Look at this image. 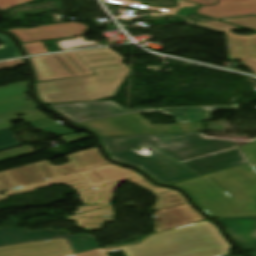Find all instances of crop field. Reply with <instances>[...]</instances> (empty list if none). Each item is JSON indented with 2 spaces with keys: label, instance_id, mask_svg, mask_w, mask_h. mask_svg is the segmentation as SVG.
<instances>
[{
  "label": "crop field",
  "instance_id": "crop-field-1",
  "mask_svg": "<svg viewBox=\"0 0 256 256\" xmlns=\"http://www.w3.org/2000/svg\"><path fill=\"white\" fill-rule=\"evenodd\" d=\"M172 185L212 218L256 216V169L249 164Z\"/></svg>",
  "mask_w": 256,
  "mask_h": 256
},
{
  "label": "crop field",
  "instance_id": "crop-field-2",
  "mask_svg": "<svg viewBox=\"0 0 256 256\" xmlns=\"http://www.w3.org/2000/svg\"><path fill=\"white\" fill-rule=\"evenodd\" d=\"M220 230L206 221L151 235L138 245L113 248L125 256H223L232 247L221 236ZM73 256H107L102 248Z\"/></svg>",
  "mask_w": 256,
  "mask_h": 256
},
{
  "label": "crop field",
  "instance_id": "crop-field-3",
  "mask_svg": "<svg viewBox=\"0 0 256 256\" xmlns=\"http://www.w3.org/2000/svg\"><path fill=\"white\" fill-rule=\"evenodd\" d=\"M142 148L148 150L151 155H138L128 150L110 155V157L116 161L133 164L164 184L179 182L248 162L238 148L180 163L151 146Z\"/></svg>",
  "mask_w": 256,
  "mask_h": 256
},
{
  "label": "crop field",
  "instance_id": "crop-field-4",
  "mask_svg": "<svg viewBox=\"0 0 256 256\" xmlns=\"http://www.w3.org/2000/svg\"><path fill=\"white\" fill-rule=\"evenodd\" d=\"M125 181L136 184L154 194L170 190L157 188L151 185L135 171L110 164L96 169L7 191L4 196L0 195V200L6 199V196L31 192L40 187L65 184L73 188L80 195V198L77 199H82L83 204H110L118 184ZM93 187L97 189H91Z\"/></svg>",
  "mask_w": 256,
  "mask_h": 256
},
{
  "label": "crop field",
  "instance_id": "crop-field-5",
  "mask_svg": "<svg viewBox=\"0 0 256 256\" xmlns=\"http://www.w3.org/2000/svg\"><path fill=\"white\" fill-rule=\"evenodd\" d=\"M97 75L35 83V94L43 104L97 101L116 96L129 75L127 65L93 69Z\"/></svg>",
  "mask_w": 256,
  "mask_h": 256
},
{
  "label": "crop field",
  "instance_id": "crop-field-6",
  "mask_svg": "<svg viewBox=\"0 0 256 256\" xmlns=\"http://www.w3.org/2000/svg\"><path fill=\"white\" fill-rule=\"evenodd\" d=\"M101 139L108 155L138 146L152 145L178 162L238 147L236 142L203 139L194 133L117 136Z\"/></svg>",
  "mask_w": 256,
  "mask_h": 256
},
{
  "label": "crop field",
  "instance_id": "crop-field-7",
  "mask_svg": "<svg viewBox=\"0 0 256 256\" xmlns=\"http://www.w3.org/2000/svg\"><path fill=\"white\" fill-rule=\"evenodd\" d=\"M36 80L42 82L53 79L95 74L91 68L119 65L125 61L110 48L55 54L29 58Z\"/></svg>",
  "mask_w": 256,
  "mask_h": 256
},
{
  "label": "crop field",
  "instance_id": "crop-field-8",
  "mask_svg": "<svg viewBox=\"0 0 256 256\" xmlns=\"http://www.w3.org/2000/svg\"><path fill=\"white\" fill-rule=\"evenodd\" d=\"M69 163L62 166H53L48 160L20 167L0 173V192L17 188L31 183L45 180L44 178H56L59 176L80 172L106 164L97 148H91L68 155Z\"/></svg>",
  "mask_w": 256,
  "mask_h": 256
},
{
  "label": "crop field",
  "instance_id": "crop-field-9",
  "mask_svg": "<svg viewBox=\"0 0 256 256\" xmlns=\"http://www.w3.org/2000/svg\"><path fill=\"white\" fill-rule=\"evenodd\" d=\"M77 126L88 128L95 132L99 137L203 131L202 123L152 126L138 114L78 124Z\"/></svg>",
  "mask_w": 256,
  "mask_h": 256
},
{
  "label": "crop field",
  "instance_id": "crop-field-10",
  "mask_svg": "<svg viewBox=\"0 0 256 256\" xmlns=\"http://www.w3.org/2000/svg\"><path fill=\"white\" fill-rule=\"evenodd\" d=\"M158 201L154 215L156 233L182 225L204 220L175 190L156 194Z\"/></svg>",
  "mask_w": 256,
  "mask_h": 256
},
{
  "label": "crop field",
  "instance_id": "crop-field-11",
  "mask_svg": "<svg viewBox=\"0 0 256 256\" xmlns=\"http://www.w3.org/2000/svg\"><path fill=\"white\" fill-rule=\"evenodd\" d=\"M49 107L74 124L101 120L120 115L139 112H154L158 110L154 108L124 109L112 101L59 104L49 105Z\"/></svg>",
  "mask_w": 256,
  "mask_h": 256
},
{
  "label": "crop field",
  "instance_id": "crop-field-12",
  "mask_svg": "<svg viewBox=\"0 0 256 256\" xmlns=\"http://www.w3.org/2000/svg\"><path fill=\"white\" fill-rule=\"evenodd\" d=\"M65 237L75 254L98 248L94 238L88 235L71 236L66 231L43 230L38 232L22 229L19 231L0 235V247L10 246L26 242H37L55 238Z\"/></svg>",
  "mask_w": 256,
  "mask_h": 256
},
{
  "label": "crop field",
  "instance_id": "crop-field-13",
  "mask_svg": "<svg viewBox=\"0 0 256 256\" xmlns=\"http://www.w3.org/2000/svg\"><path fill=\"white\" fill-rule=\"evenodd\" d=\"M86 28V26L78 22H69L41 26L36 29L21 28L7 31L12 32L21 43H24L56 38L83 36Z\"/></svg>",
  "mask_w": 256,
  "mask_h": 256
},
{
  "label": "crop field",
  "instance_id": "crop-field-14",
  "mask_svg": "<svg viewBox=\"0 0 256 256\" xmlns=\"http://www.w3.org/2000/svg\"><path fill=\"white\" fill-rule=\"evenodd\" d=\"M229 231L243 251L256 250V217L215 219Z\"/></svg>",
  "mask_w": 256,
  "mask_h": 256
},
{
  "label": "crop field",
  "instance_id": "crop-field-15",
  "mask_svg": "<svg viewBox=\"0 0 256 256\" xmlns=\"http://www.w3.org/2000/svg\"><path fill=\"white\" fill-rule=\"evenodd\" d=\"M25 92L27 81L0 88V115L37 107L32 101L21 98Z\"/></svg>",
  "mask_w": 256,
  "mask_h": 256
},
{
  "label": "crop field",
  "instance_id": "crop-field-16",
  "mask_svg": "<svg viewBox=\"0 0 256 256\" xmlns=\"http://www.w3.org/2000/svg\"><path fill=\"white\" fill-rule=\"evenodd\" d=\"M197 13L214 18L256 14V0H219L218 5L200 7Z\"/></svg>",
  "mask_w": 256,
  "mask_h": 256
},
{
  "label": "crop field",
  "instance_id": "crop-field-17",
  "mask_svg": "<svg viewBox=\"0 0 256 256\" xmlns=\"http://www.w3.org/2000/svg\"><path fill=\"white\" fill-rule=\"evenodd\" d=\"M69 249H71V247L65 238H61L38 243H27L0 248V256H17L29 253H45Z\"/></svg>",
  "mask_w": 256,
  "mask_h": 256
},
{
  "label": "crop field",
  "instance_id": "crop-field-18",
  "mask_svg": "<svg viewBox=\"0 0 256 256\" xmlns=\"http://www.w3.org/2000/svg\"><path fill=\"white\" fill-rule=\"evenodd\" d=\"M238 107H200L163 109L159 113L176 117L178 123L204 122L211 118V111L237 110Z\"/></svg>",
  "mask_w": 256,
  "mask_h": 256
},
{
  "label": "crop field",
  "instance_id": "crop-field-19",
  "mask_svg": "<svg viewBox=\"0 0 256 256\" xmlns=\"http://www.w3.org/2000/svg\"><path fill=\"white\" fill-rule=\"evenodd\" d=\"M230 59L256 58V34L244 36L227 32Z\"/></svg>",
  "mask_w": 256,
  "mask_h": 256
},
{
  "label": "crop field",
  "instance_id": "crop-field-20",
  "mask_svg": "<svg viewBox=\"0 0 256 256\" xmlns=\"http://www.w3.org/2000/svg\"><path fill=\"white\" fill-rule=\"evenodd\" d=\"M114 216V209L110 206L66 219L76 220L78 227L85 230L98 231L104 222H114Z\"/></svg>",
  "mask_w": 256,
  "mask_h": 256
},
{
  "label": "crop field",
  "instance_id": "crop-field-21",
  "mask_svg": "<svg viewBox=\"0 0 256 256\" xmlns=\"http://www.w3.org/2000/svg\"><path fill=\"white\" fill-rule=\"evenodd\" d=\"M20 113L26 114L27 116L17 118L15 115L20 114ZM45 117H46V115L43 114L38 109L13 113V114L5 115V116H0V129L11 126L12 124H10L9 122L17 120V119H22L25 122H30V121H34V120L45 118Z\"/></svg>",
  "mask_w": 256,
  "mask_h": 256
},
{
  "label": "crop field",
  "instance_id": "crop-field-22",
  "mask_svg": "<svg viewBox=\"0 0 256 256\" xmlns=\"http://www.w3.org/2000/svg\"><path fill=\"white\" fill-rule=\"evenodd\" d=\"M105 1L111 2V3H116V4H121V5H126V6H131V7H136V8L161 11V12L168 13V14H171V15H175L180 8L188 7L186 4L179 3V2H177V4L179 5L177 8L162 9V8L148 7V6L141 5V2H139L138 0L137 1H133V0H105Z\"/></svg>",
  "mask_w": 256,
  "mask_h": 256
},
{
  "label": "crop field",
  "instance_id": "crop-field-23",
  "mask_svg": "<svg viewBox=\"0 0 256 256\" xmlns=\"http://www.w3.org/2000/svg\"><path fill=\"white\" fill-rule=\"evenodd\" d=\"M0 41L5 45L3 49H0V60L21 56L15 45L7 36L0 34Z\"/></svg>",
  "mask_w": 256,
  "mask_h": 256
},
{
  "label": "crop field",
  "instance_id": "crop-field-24",
  "mask_svg": "<svg viewBox=\"0 0 256 256\" xmlns=\"http://www.w3.org/2000/svg\"><path fill=\"white\" fill-rule=\"evenodd\" d=\"M193 25H197V26H201V27H205V28H209V29H213V30H217V31H231V30H235V29H241L239 27L232 26V25L225 24V23L218 22V21L209 22V23H197V24H193Z\"/></svg>",
  "mask_w": 256,
  "mask_h": 256
},
{
  "label": "crop field",
  "instance_id": "crop-field-25",
  "mask_svg": "<svg viewBox=\"0 0 256 256\" xmlns=\"http://www.w3.org/2000/svg\"><path fill=\"white\" fill-rule=\"evenodd\" d=\"M224 21L256 30V16L233 18V19H224Z\"/></svg>",
  "mask_w": 256,
  "mask_h": 256
},
{
  "label": "crop field",
  "instance_id": "crop-field-26",
  "mask_svg": "<svg viewBox=\"0 0 256 256\" xmlns=\"http://www.w3.org/2000/svg\"><path fill=\"white\" fill-rule=\"evenodd\" d=\"M11 128H13V127H9V128L0 130V147L18 143V141H16L13 138V133L10 130Z\"/></svg>",
  "mask_w": 256,
  "mask_h": 256
},
{
  "label": "crop field",
  "instance_id": "crop-field-27",
  "mask_svg": "<svg viewBox=\"0 0 256 256\" xmlns=\"http://www.w3.org/2000/svg\"><path fill=\"white\" fill-rule=\"evenodd\" d=\"M33 0H0V11L30 2ZM57 1V0H54Z\"/></svg>",
  "mask_w": 256,
  "mask_h": 256
},
{
  "label": "crop field",
  "instance_id": "crop-field-28",
  "mask_svg": "<svg viewBox=\"0 0 256 256\" xmlns=\"http://www.w3.org/2000/svg\"><path fill=\"white\" fill-rule=\"evenodd\" d=\"M38 130H42L44 132L50 131V132H52V133H54L58 136L74 133V131L69 130V129H65L61 125H55V126L47 127V128H44V129H38Z\"/></svg>",
  "mask_w": 256,
  "mask_h": 256
},
{
  "label": "crop field",
  "instance_id": "crop-field-29",
  "mask_svg": "<svg viewBox=\"0 0 256 256\" xmlns=\"http://www.w3.org/2000/svg\"><path fill=\"white\" fill-rule=\"evenodd\" d=\"M241 148L252 163L256 164V142L242 146Z\"/></svg>",
  "mask_w": 256,
  "mask_h": 256
},
{
  "label": "crop field",
  "instance_id": "crop-field-30",
  "mask_svg": "<svg viewBox=\"0 0 256 256\" xmlns=\"http://www.w3.org/2000/svg\"><path fill=\"white\" fill-rule=\"evenodd\" d=\"M73 251H61V252H53V253H45V254H29V255H23V256H69L73 255Z\"/></svg>",
  "mask_w": 256,
  "mask_h": 256
},
{
  "label": "crop field",
  "instance_id": "crop-field-31",
  "mask_svg": "<svg viewBox=\"0 0 256 256\" xmlns=\"http://www.w3.org/2000/svg\"><path fill=\"white\" fill-rule=\"evenodd\" d=\"M22 64H24L22 59L2 62V63H0V70L18 66V65H22Z\"/></svg>",
  "mask_w": 256,
  "mask_h": 256
},
{
  "label": "crop field",
  "instance_id": "crop-field-32",
  "mask_svg": "<svg viewBox=\"0 0 256 256\" xmlns=\"http://www.w3.org/2000/svg\"><path fill=\"white\" fill-rule=\"evenodd\" d=\"M54 123H55L54 121H51L48 118L41 119V120L34 121V122H30V124H32L35 128L49 126V125L54 124Z\"/></svg>",
  "mask_w": 256,
  "mask_h": 256
},
{
  "label": "crop field",
  "instance_id": "crop-field-33",
  "mask_svg": "<svg viewBox=\"0 0 256 256\" xmlns=\"http://www.w3.org/2000/svg\"><path fill=\"white\" fill-rule=\"evenodd\" d=\"M102 207H105V206H82V207H77V212H75L74 214L77 215V214L85 213V212L92 211V210L102 208Z\"/></svg>",
  "mask_w": 256,
  "mask_h": 256
},
{
  "label": "crop field",
  "instance_id": "crop-field-34",
  "mask_svg": "<svg viewBox=\"0 0 256 256\" xmlns=\"http://www.w3.org/2000/svg\"><path fill=\"white\" fill-rule=\"evenodd\" d=\"M196 8H197V7L180 9L177 14H179V15L185 17V16H187V15H189V14H192V13L195 11Z\"/></svg>",
  "mask_w": 256,
  "mask_h": 256
},
{
  "label": "crop field",
  "instance_id": "crop-field-35",
  "mask_svg": "<svg viewBox=\"0 0 256 256\" xmlns=\"http://www.w3.org/2000/svg\"><path fill=\"white\" fill-rule=\"evenodd\" d=\"M203 5L215 4L216 0H189Z\"/></svg>",
  "mask_w": 256,
  "mask_h": 256
},
{
  "label": "crop field",
  "instance_id": "crop-field-36",
  "mask_svg": "<svg viewBox=\"0 0 256 256\" xmlns=\"http://www.w3.org/2000/svg\"><path fill=\"white\" fill-rule=\"evenodd\" d=\"M18 229L19 228H17V227L7 228V229H0V234H4V233L11 232V231L18 230Z\"/></svg>",
  "mask_w": 256,
  "mask_h": 256
},
{
  "label": "crop field",
  "instance_id": "crop-field-37",
  "mask_svg": "<svg viewBox=\"0 0 256 256\" xmlns=\"http://www.w3.org/2000/svg\"><path fill=\"white\" fill-rule=\"evenodd\" d=\"M20 146H21L20 144H17V145H13V146L1 148V149H0V152H1V151H5V150H9V149H12V148L20 147Z\"/></svg>",
  "mask_w": 256,
  "mask_h": 256
},
{
  "label": "crop field",
  "instance_id": "crop-field-38",
  "mask_svg": "<svg viewBox=\"0 0 256 256\" xmlns=\"http://www.w3.org/2000/svg\"><path fill=\"white\" fill-rule=\"evenodd\" d=\"M179 2L186 3L189 7L198 6L197 4H193V3H189V2H185V1H181V0H179Z\"/></svg>",
  "mask_w": 256,
  "mask_h": 256
},
{
  "label": "crop field",
  "instance_id": "crop-field-39",
  "mask_svg": "<svg viewBox=\"0 0 256 256\" xmlns=\"http://www.w3.org/2000/svg\"><path fill=\"white\" fill-rule=\"evenodd\" d=\"M248 255H250V256H256V251H254V252H246Z\"/></svg>",
  "mask_w": 256,
  "mask_h": 256
},
{
  "label": "crop field",
  "instance_id": "crop-field-40",
  "mask_svg": "<svg viewBox=\"0 0 256 256\" xmlns=\"http://www.w3.org/2000/svg\"><path fill=\"white\" fill-rule=\"evenodd\" d=\"M136 203H137V201L132 202V203L128 204V206H134Z\"/></svg>",
  "mask_w": 256,
  "mask_h": 256
},
{
  "label": "crop field",
  "instance_id": "crop-field-41",
  "mask_svg": "<svg viewBox=\"0 0 256 256\" xmlns=\"http://www.w3.org/2000/svg\"><path fill=\"white\" fill-rule=\"evenodd\" d=\"M106 252H107V253H108V252H112V250H111V249H107Z\"/></svg>",
  "mask_w": 256,
  "mask_h": 256
},
{
  "label": "crop field",
  "instance_id": "crop-field-42",
  "mask_svg": "<svg viewBox=\"0 0 256 256\" xmlns=\"http://www.w3.org/2000/svg\"><path fill=\"white\" fill-rule=\"evenodd\" d=\"M228 256H230V255H228Z\"/></svg>",
  "mask_w": 256,
  "mask_h": 256
}]
</instances>
